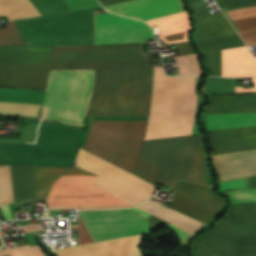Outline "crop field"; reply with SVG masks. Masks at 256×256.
I'll return each instance as SVG.
<instances>
[{
    "mask_svg": "<svg viewBox=\"0 0 256 256\" xmlns=\"http://www.w3.org/2000/svg\"><path fill=\"white\" fill-rule=\"evenodd\" d=\"M175 191L169 208L206 224L222 207L223 201L212 195L206 186H199L182 181L176 182ZM137 208L162 218L192 234L204 224L166 208L154 201L147 200Z\"/></svg>",
    "mask_w": 256,
    "mask_h": 256,
    "instance_id": "e52e79f7",
    "label": "crop field"
},
{
    "mask_svg": "<svg viewBox=\"0 0 256 256\" xmlns=\"http://www.w3.org/2000/svg\"><path fill=\"white\" fill-rule=\"evenodd\" d=\"M14 201L36 199L34 167L10 165ZM96 178H57L48 197H113L93 186ZM49 208L131 207L116 198H48Z\"/></svg>",
    "mask_w": 256,
    "mask_h": 256,
    "instance_id": "dd49c442",
    "label": "crop field"
},
{
    "mask_svg": "<svg viewBox=\"0 0 256 256\" xmlns=\"http://www.w3.org/2000/svg\"><path fill=\"white\" fill-rule=\"evenodd\" d=\"M0 208L5 216L6 220L12 219L8 205H1Z\"/></svg>",
    "mask_w": 256,
    "mask_h": 256,
    "instance_id": "e1f06a70",
    "label": "crop field"
},
{
    "mask_svg": "<svg viewBox=\"0 0 256 256\" xmlns=\"http://www.w3.org/2000/svg\"><path fill=\"white\" fill-rule=\"evenodd\" d=\"M140 235L55 250L59 256H79L138 244ZM137 245L84 256H140Z\"/></svg>",
    "mask_w": 256,
    "mask_h": 256,
    "instance_id": "d9b57169",
    "label": "crop field"
},
{
    "mask_svg": "<svg viewBox=\"0 0 256 256\" xmlns=\"http://www.w3.org/2000/svg\"><path fill=\"white\" fill-rule=\"evenodd\" d=\"M6 254H9L10 256H44V253L37 245L32 247L25 245L10 250L6 249L0 251V256Z\"/></svg>",
    "mask_w": 256,
    "mask_h": 256,
    "instance_id": "d3111659",
    "label": "crop field"
},
{
    "mask_svg": "<svg viewBox=\"0 0 256 256\" xmlns=\"http://www.w3.org/2000/svg\"><path fill=\"white\" fill-rule=\"evenodd\" d=\"M222 76H256V60L246 46L222 50Z\"/></svg>",
    "mask_w": 256,
    "mask_h": 256,
    "instance_id": "bc2a9ffb",
    "label": "crop field"
},
{
    "mask_svg": "<svg viewBox=\"0 0 256 256\" xmlns=\"http://www.w3.org/2000/svg\"><path fill=\"white\" fill-rule=\"evenodd\" d=\"M178 45H179L178 49L180 51L181 56L194 53L189 42L180 43Z\"/></svg>",
    "mask_w": 256,
    "mask_h": 256,
    "instance_id": "5866460e",
    "label": "crop field"
},
{
    "mask_svg": "<svg viewBox=\"0 0 256 256\" xmlns=\"http://www.w3.org/2000/svg\"><path fill=\"white\" fill-rule=\"evenodd\" d=\"M189 2H191V1H194V0H188Z\"/></svg>",
    "mask_w": 256,
    "mask_h": 256,
    "instance_id": "c21b1889",
    "label": "crop field"
},
{
    "mask_svg": "<svg viewBox=\"0 0 256 256\" xmlns=\"http://www.w3.org/2000/svg\"><path fill=\"white\" fill-rule=\"evenodd\" d=\"M227 14L233 20L256 16V6L228 11ZM240 31L255 29L256 17L233 21Z\"/></svg>",
    "mask_w": 256,
    "mask_h": 256,
    "instance_id": "a9b5d70f",
    "label": "crop field"
},
{
    "mask_svg": "<svg viewBox=\"0 0 256 256\" xmlns=\"http://www.w3.org/2000/svg\"><path fill=\"white\" fill-rule=\"evenodd\" d=\"M175 59L180 75H201L195 54Z\"/></svg>",
    "mask_w": 256,
    "mask_h": 256,
    "instance_id": "ae1a2a85",
    "label": "crop field"
},
{
    "mask_svg": "<svg viewBox=\"0 0 256 256\" xmlns=\"http://www.w3.org/2000/svg\"><path fill=\"white\" fill-rule=\"evenodd\" d=\"M218 185H220L219 191L220 190H227V189H244V188H246L242 179L229 181V182L218 183Z\"/></svg>",
    "mask_w": 256,
    "mask_h": 256,
    "instance_id": "bd1437ed",
    "label": "crop field"
},
{
    "mask_svg": "<svg viewBox=\"0 0 256 256\" xmlns=\"http://www.w3.org/2000/svg\"><path fill=\"white\" fill-rule=\"evenodd\" d=\"M94 242L148 231L146 219L129 209L80 211Z\"/></svg>",
    "mask_w": 256,
    "mask_h": 256,
    "instance_id": "3316defc",
    "label": "crop field"
},
{
    "mask_svg": "<svg viewBox=\"0 0 256 256\" xmlns=\"http://www.w3.org/2000/svg\"><path fill=\"white\" fill-rule=\"evenodd\" d=\"M78 228H79V241H80V244L81 243H91L92 240L89 236V234L87 233L82 221L80 218H78Z\"/></svg>",
    "mask_w": 256,
    "mask_h": 256,
    "instance_id": "1d83c4d3",
    "label": "crop field"
},
{
    "mask_svg": "<svg viewBox=\"0 0 256 256\" xmlns=\"http://www.w3.org/2000/svg\"><path fill=\"white\" fill-rule=\"evenodd\" d=\"M235 92L232 78H207L206 93H228Z\"/></svg>",
    "mask_w": 256,
    "mask_h": 256,
    "instance_id": "eef30255",
    "label": "crop field"
},
{
    "mask_svg": "<svg viewBox=\"0 0 256 256\" xmlns=\"http://www.w3.org/2000/svg\"><path fill=\"white\" fill-rule=\"evenodd\" d=\"M244 181L248 188L256 187V176L250 178H244Z\"/></svg>",
    "mask_w": 256,
    "mask_h": 256,
    "instance_id": "028f5c9d",
    "label": "crop field"
},
{
    "mask_svg": "<svg viewBox=\"0 0 256 256\" xmlns=\"http://www.w3.org/2000/svg\"><path fill=\"white\" fill-rule=\"evenodd\" d=\"M75 166L98 175L94 186L132 206L153 192V185L81 149Z\"/></svg>",
    "mask_w": 256,
    "mask_h": 256,
    "instance_id": "d8731c3e",
    "label": "crop field"
},
{
    "mask_svg": "<svg viewBox=\"0 0 256 256\" xmlns=\"http://www.w3.org/2000/svg\"><path fill=\"white\" fill-rule=\"evenodd\" d=\"M256 111V93L212 96L206 114ZM207 129L256 126V112L206 115Z\"/></svg>",
    "mask_w": 256,
    "mask_h": 256,
    "instance_id": "28ad6ade",
    "label": "crop field"
},
{
    "mask_svg": "<svg viewBox=\"0 0 256 256\" xmlns=\"http://www.w3.org/2000/svg\"><path fill=\"white\" fill-rule=\"evenodd\" d=\"M132 209H134V210H136L137 212H139V213L145 215L146 217L150 215V214H147V213H145V212H143V211H141V210H139V209H137V208H135V207H133Z\"/></svg>",
    "mask_w": 256,
    "mask_h": 256,
    "instance_id": "b80d0937",
    "label": "crop field"
},
{
    "mask_svg": "<svg viewBox=\"0 0 256 256\" xmlns=\"http://www.w3.org/2000/svg\"><path fill=\"white\" fill-rule=\"evenodd\" d=\"M45 91L0 88V101L43 104Z\"/></svg>",
    "mask_w": 256,
    "mask_h": 256,
    "instance_id": "00972430",
    "label": "crop field"
},
{
    "mask_svg": "<svg viewBox=\"0 0 256 256\" xmlns=\"http://www.w3.org/2000/svg\"><path fill=\"white\" fill-rule=\"evenodd\" d=\"M147 122L92 121L85 150L133 172ZM134 174L172 186L176 180L206 184L200 135L144 141Z\"/></svg>",
    "mask_w": 256,
    "mask_h": 256,
    "instance_id": "ac0d7876",
    "label": "crop field"
},
{
    "mask_svg": "<svg viewBox=\"0 0 256 256\" xmlns=\"http://www.w3.org/2000/svg\"><path fill=\"white\" fill-rule=\"evenodd\" d=\"M103 6L128 0H99ZM107 10L143 21L185 11L180 0H133L105 7Z\"/></svg>",
    "mask_w": 256,
    "mask_h": 256,
    "instance_id": "cbeb9de0",
    "label": "crop field"
},
{
    "mask_svg": "<svg viewBox=\"0 0 256 256\" xmlns=\"http://www.w3.org/2000/svg\"><path fill=\"white\" fill-rule=\"evenodd\" d=\"M196 21L198 43L238 36L221 12L198 18Z\"/></svg>",
    "mask_w": 256,
    "mask_h": 256,
    "instance_id": "92a150f3",
    "label": "crop field"
},
{
    "mask_svg": "<svg viewBox=\"0 0 256 256\" xmlns=\"http://www.w3.org/2000/svg\"><path fill=\"white\" fill-rule=\"evenodd\" d=\"M219 180L256 174V150L214 156Z\"/></svg>",
    "mask_w": 256,
    "mask_h": 256,
    "instance_id": "733c2abd",
    "label": "crop field"
},
{
    "mask_svg": "<svg viewBox=\"0 0 256 256\" xmlns=\"http://www.w3.org/2000/svg\"><path fill=\"white\" fill-rule=\"evenodd\" d=\"M72 11L98 8L96 0H65ZM64 0H29L40 16L69 12ZM28 0H0V15L11 19L39 16Z\"/></svg>",
    "mask_w": 256,
    "mask_h": 256,
    "instance_id": "22f410ed",
    "label": "crop field"
},
{
    "mask_svg": "<svg viewBox=\"0 0 256 256\" xmlns=\"http://www.w3.org/2000/svg\"><path fill=\"white\" fill-rule=\"evenodd\" d=\"M149 61L141 43L55 48L52 67Z\"/></svg>",
    "mask_w": 256,
    "mask_h": 256,
    "instance_id": "5a996713",
    "label": "crop field"
},
{
    "mask_svg": "<svg viewBox=\"0 0 256 256\" xmlns=\"http://www.w3.org/2000/svg\"><path fill=\"white\" fill-rule=\"evenodd\" d=\"M14 203L9 165L0 167V204Z\"/></svg>",
    "mask_w": 256,
    "mask_h": 256,
    "instance_id": "730fd06b",
    "label": "crop field"
},
{
    "mask_svg": "<svg viewBox=\"0 0 256 256\" xmlns=\"http://www.w3.org/2000/svg\"><path fill=\"white\" fill-rule=\"evenodd\" d=\"M95 69L86 116L148 117L153 67L150 62L75 66ZM196 77H167L154 67L149 120L144 140L191 135L197 96Z\"/></svg>",
    "mask_w": 256,
    "mask_h": 256,
    "instance_id": "8a807250",
    "label": "crop field"
},
{
    "mask_svg": "<svg viewBox=\"0 0 256 256\" xmlns=\"http://www.w3.org/2000/svg\"><path fill=\"white\" fill-rule=\"evenodd\" d=\"M2 246V240H1V238H0V247Z\"/></svg>",
    "mask_w": 256,
    "mask_h": 256,
    "instance_id": "c035e120",
    "label": "crop field"
},
{
    "mask_svg": "<svg viewBox=\"0 0 256 256\" xmlns=\"http://www.w3.org/2000/svg\"><path fill=\"white\" fill-rule=\"evenodd\" d=\"M252 80H253L254 89H239V88H235V89H236V92H251V91H256V77H255V78H252Z\"/></svg>",
    "mask_w": 256,
    "mask_h": 256,
    "instance_id": "0bd39190",
    "label": "crop field"
},
{
    "mask_svg": "<svg viewBox=\"0 0 256 256\" xmlns=\"http://www.w3.org/2000/svg\"><path fill=\"white\" fill-rule=\"evenodd\" d=\"M214 155L256 149V127L212 131Z\"/></svg>",
    "mask_w": 256,
    "mask_h": 256,
    "instance_id": "4a817a6b",
    "label": "crop field"
},
{
    "mask_svg": "<svg viewBox=\"0 0 256 256\" xmlns=\"http://www.w3.org/2000/svg\"><path fill=\"white\" fill-rule=\"evenodd\" d=\"M148 219V224L150 227H153V228H156V227H159L161 225H165V226H168V223L154 217V216H150L147 218Z\"/></svg>",
    "mask_w": 256,
    "mask_h": 256,
    "instance_id": "d32e631a",
    "label": "crop field"
},
{
    "mask_svg": "<svg viewBox=\"0 0 256 256\" xmlns=\"http://www.w3.org/2000/svg\"><path fill=\"white\" fill-rule=\"evenodd\" d=\"M92 9L14 21L26 46L95 44ZM13 21L0 29V45L25 46ZM0 46V63L51 64L54 48Z\"/></svg>",
    "mask_w": 256,
    "mask_h": 256,
    "instance_id": "412701ff",
    "label": "crop field"
},
{
    "mask_svg": "<svg viewBox=\"0 0 256 256\" xmlns=\"http://www.w3.org/2000/svg\"><path fill=\"white\" fill-rule=\"evenodd\" d=\"M50 66L0 64V86L45 90Z\"/></svg>",
    "mask_w": 256,
    "mask_h": 256,
    "instance_id": "5142ce71",
    "label": "crop field"
},
{
    "mask_svg": "<svg viewBox=\"0 0 256 256\" xmlns=\"http://www.w3.org/2000/svg\"><path fill=\"white\" fill-rule=\"evenodd\" d=\"M96 45L143 42L154 38L149 26L110 13L95 15Z\"/></svg>",
    "mask_w": 256,
    "mask_h": 256,
    "instance_id": "d1516ede",
    "label": "crop field"
},
{
    "mask_svg": "<svg viewBox=\"0 0 256 256\" xmlns=\"http://www.w3.org/2000/svg\"><path fill=\"white\" fill-rule=\"evenodd\" d=\"M247 46L256 44V30L239 33Z\"/></svg>",
    "mask_w": 256,
    "mask_h": 256,
    "instance_id": "120bbe31",
    "label": "crop field"
},
{
    "mask_svg": "<svg viewBox=\"0 0 256 256\" xmlns=\"http://www.w3.org/2000/svg\"><path fill=\"white\" fill-rule=\"evenodd\" d=\"M228 10L256 5V0H221Z\"/></svg>",
    "mask_w": 256,
    "mask_h": 256,
    "instance_id": "750c4746",
    "label": "crop field"
},
{
    "mask_svg": "<svg viewBox=\"0 0 256 256\" xmlns=\"http://www.w3.org/2000/svg\"><path fill=\"white\" fill-rule=\"evenodd\" d=\"M151 27L157 26L165 44L188 40L189 22L186 12L146 21Z\"/></svg>",
    "mask_w": 256,
    "mask_h": 256,
    "instance_id": "214f88e0",
    "label": "crop field"
},
{
    "mask_svg": "<svg viewBox=\"0 0 256 256\" xmlns=\"http://www.w3.org/2000/svg\"><path fill=\"white\" fill-rule=\"evenodd\" d=\"M94 70L50 71L42 119L84 125ZM83 128L40 124L36 144L0 142V163L70 167Z\"/></svg>",
    "mask_w": 256,
    "mask_h": 256,
    "instance_id": "34b2d1b8",
    "label": "crop field"
},
{
    "mask_svg": "<svg viewBox=\"0 0 256 256\" xmlns=\"http://www.w3.org/2000/svg\"><path fill=\"white\" fill-rule=\"evenodd\" d=\"M41 105L0 102V114L38 117Z\"/></svg>",
    "mask_w": 256,
    "mask_h": 256,
    "instance_id": "4177f3b9",
    "label": "crop field"
},
{
    "mask_svg": "<svg viewBox=\"0 0 256 256\" xmlns=\"http://www.w3.org/2000/svg\"><path fill=\"white\" fill-rule=\"evenodd\" d=\"M199 45L206 56L210 75L221 76V49L242 46L244 43L237 37Z\"/></svg>",
    "mask_w": 256,
    "mask_h": 256,
    "instance_id": "dafd665d",
    "label": "crop field"
},
{
    "mask_svg": "<svg viewBox=\"0 0 256 256\" xmlns=\"http://www.w3.org/2000/svg\"><path fill=\"white\" fill-rule=\"evenodd\" d=\"M235 204L255 203L256 189L230 192ZM196 256H256V204L235 205L223 222L194 244Z\"/></svg>",
    "mask_w": 256,
    "mask_h": 256,
    "instance_id": "f4fd0767",
    "label": "crop field"
}]
</instances>
